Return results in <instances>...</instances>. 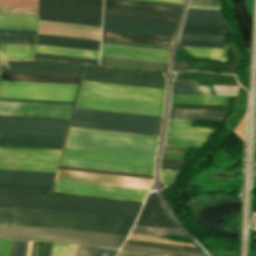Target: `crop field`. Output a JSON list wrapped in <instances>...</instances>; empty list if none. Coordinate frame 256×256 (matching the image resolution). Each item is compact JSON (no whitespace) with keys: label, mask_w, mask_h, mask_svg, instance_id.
<instances>
[{"label":"crop field","mask_w":256,"mask_h":256,"mask_svg":"<svg viewBox=\"0 0 256 256\" xmlns=\"http://www.w3.org/2000/svg\"><path fill=\"white\" fill-rule=\"evenodd\" d=\"M134 219L43 210L0 208V224L126 235Z\"/></svg>","instance_id":"8a807250"},{"label":"crop field","mask_w":256,"mask_h":256,"mask_svg":"<svg viewBox=\"0 0 256 256\" xmlns=\"http://www.w3.org/2000/svg\"><path fill=\"white\" fill-rule=\"evenodd\" d=\"M141 204L0 191V207L27 208L135 218Z\"/></svg>","instance_id":"ac0d7876"},{"label":"crop field","mask_w":256,"mask_h":256,"mask_svg":"<svg viewBox=\"0 0 256 256\" xmlns=\"http://www.w3.org/2000/svg\"><path fill=\"white\" fill-rule=\"evenodd\" d=\"M68 120L0 116V146L61 149Z\"/></svg>","instance_id":"34b2d1b8"},{"label":"crop field","mask_w":256,"mask_h":256,"mask_svg":"<svg viewBox=\"0 0 256 256\" xmlns=\"http://www.w3.org/2000/svg\"><path fill=\"white\" fill-rule=\"evenodd\" d=\"M158 136L71 127L70 148L154 156Z\"/></svg>","instance_id":"412701ff"},{"label":"crop field","mask_w":256,"mask_h":256,"mask_svg":"<svg viewBox=\"0 0 256 256\" xmlns=\"http://www.w3.org/2000/svg\"><path fill=\"white\" fill-rule=\"evenodd\" d=\"M154 157L66 148L61 165L153 175Z\"/></svg>","instance_id":"f4fd0767"},{"label":"crop field","mask_w":256,"mask_h":256,"mask_svg":"<svg viewBox=\"0 0 256 256\" xmlns=\"http://www.w3.org/2000/svg\"><path fill=\"white\" fill-rule=\"evenodd\" d=\"M161 117L76 108L75 127L158 135Z\"/></svg>","instance_id":"dd49c442"},{"label":"crop field","mask_w":256,"mask_h":256,"mask_svg":"<svg viewBox=\"0 0 256 256\" xmlns=\"http://www.w3.org/2000/svg\"><path fill=\"white\" fill-rule=\"evenodd\" d=\"M126 236L52 229L0 225V238L37 239L119 248Z\"/></svg>","instance_id":"e52e79f7"},{"label":"crop field","mask_w":256,"mask_h":256,"mask_svg":"<svg viewBox=\"0 0 256 256\" xmlns=\"http://www.w3.org/2000/svg\"><path fill=\"white\" fill-rule=\"evenodd\" d=\"M61 150L0 147V168L55 172Z\"/></svg>","instance_id":"d8731c3e"},{"label":"crop field","mask_w":256,"mask_h":256,"mask_svg":"<svg viewBox=\"0 0 256 256\" xmlns=\"http://www.w3.org/2000/svg\"><path fill=\"white\" fill-rule=\"evenodd\" d=\"M77 86L0 80V97L73 101Z\"/></svg>","instance_id":"5a996713"},{"label":"crop field","mask_w":256,"mask_h":256,"mask_svg":"<svg viewBox=\"0 0 256 256\" xmlns=\"http://www.w3.org/2000/svg\"><path fill=\"white\" fill-rule=\"evenodd\" d=\"M162 106L159 102L80 94L76 107L161 116Z\"/></svg>","instance_id":"3316defc"},{"label":"crop field","mask_w":256,"mask_h":256,"mask_svg":"<svg viewBox=\"0 0 256 256\" xmlns=\"http://www.w3.org/2000/svg\"><path fill=\"white\" fill-rule=\"evenodd\" d=\"M88 81L129 84L164 88L162 74L87 66L84 79Z\"/></svg>","instance_id":"28ad6ade"},{"label":"crop field","mask_w":256,"mask_h":256,"mask_svg":"<svg viewBox=\"0 0 256 256\" xmlns=\"http://www.w3.org/2000/svg\"><path fill=\"white\" fill-rule=\"evenodd\" d=\"M55 192L140 201L148 190L58 180Z\"/></svg>","instance_id":"d1516ede"},{"label":"crop field","mask_w":256,"mask_h":256,"mask_svg":"<svg viewBox=\"0 0 256 256\" xmlns=\"http://www.w3.org/2000/svg\"><path fill=\"white\" fill-rule=\"evenodd\" d=\"M177 24L104 14L103 29L172 37Z\"/></svg>","instance_id":"22f410ed"},{"label":"crop field","mask_w":256,"mask_h":256,"mask_svg":"<svg viewBox=\"0 0 256 256\" xmlns=\"http://www.w3.org/2000/svg\"><path fill=\"white\" fill-rule=\"evenodd\" d=\"M80 93L164 101V89L83 81Z\"/></svg>","instance_id":"cbeb9de0"},{"label":"crop field","mask_w":256,"mask_h":256,"mask_svg":"<svg viewBox=\"0 0 256 256\" xmlns=\"http://www.w3.org/2000/svg\"><path fill=\"white\" fill-rule=\"evenodd\" d=\"M54 174L0 169V189L50 192Z\"/></svg>","instance_id":"5142ce71"},{"label":"crop field","mask_w":256,"mask_h":256,"mask_svg":"<svg viewBox=\"0 0 256 256\" xmlns=\"http://www.w3.org/2000/svg\"><path fill=\"white\" fill-rule=\"evenodd\" d=\"M72 105L0 101V115L69 118Z\"/></svg>","instance_id":"d9b57169"},{"label":"crop field","mask_w":256,"mask_h":256,"mask_svg":"<svg viewBox=\"0 0 256 256\" xmlns=\"http://www.w3.org/2000/svg\"><path fill=\"white\" fill-rule=\"evenodd\" d=\"M2 72L79 77L81 67L66 63L9 62L1 60Z\"/></svg>","instance_id":"733c2abd"},{"label":"crop field","mask_w":256,"mask_h":256,"mask_svg":"<svg viewBox=\"0 0 256 256\" xmlns=\"http://www.w3.org/2000/svg\"><path fill=\"white\" fill-rule=\"evenodd\" d=\"M39 11L101 18L102 0H39Z\"/></svg>","instance_id":"4a817a6b"},{"label":"crop field","mask_w":256,"mask_h":256,"mask_svg":"<svg viewBox=\"0 0 256 256\" xmlns=\"http://www.w3.org/2000/svg\"><path fill=\"white\" fill-rule=\"evenodd\" d=\"M58 179L149 189L152 179L60 170Z\"/></svg>","instance_id":"bc2a9ffb"},{"label":"crop field","mask_w":256,"mask_h":256,"mask_svg":"<svg viewBox=\"0 0 256 256\" xmlns=\"http://www.w3.org/2000/svg\"><path fill=\"white\" fill-rule=\"evenodd\" d=\"M38 33L100 40L101 27L39 20Z\"/></svg>","instance_id":"214f88e0"},{"label":"crop field","mask_w":256,"mask_h":256,"mask_svg":"<svg viewBox=\"0 0 256 256\" xmlns=\"http://www.w3.org/2000/svg\"><path fill=\"white\" fill-rule=\"evenodd\" d=\"M169 51L102 44L101 55L167 62Z\"/></svg>","instance_id":"92a150f3"},{"label":"crop field","mask_w":256,"mask_h":256,"mask_svg":"<svg viewBox=\"0 0 256 256\" xmlns=\"http://www.w3.org/2000/svg\"><path fill=\"white\" fill-rule=\"evenodd\" d=\"M136 224L177 228L165 214L155 194L149 195Z\"/></svg>","instance_id":"dafd665d"},{"label":"crop field","mask_w":256,"mask_h":256,"mask_svg":"<svg viewBox=\"0 0 256 256\" xmlns=\"http://www.w3.org/2000/svg\"><path fill=\"white\" fill-rule=\"evenodd\" d=\"M183 125H191V121L169 119L167 136L208 139L210 134L214 132V129L210 128Z\"/></svg>","instance_id":"00972430"},{"label":"crop field","mask_w":256,"mask_h":256,"mask_svg":"<svg viewBox=\"0 0 256 256\" xmlns=\"http://www.w3.org/2000/svg\"><path fill=\"white\" fill-rule=\"evenodd\" d=\"M100 41L38 34L37 44L99 50Z\"/></svg>","instance_id":"a9b5d70f"},{"label":"crop field","mask_w":256,"mask_h":256,"mask_svg":"<svg viewBox=\"0 0 256 256\" xmlns=\"http://www.w3.org/2000/svg\"><path fill=\"white\" fill-rule=\"evenodd\" d=\"M100 65L167 71V63L101 56Z\"/></svg>","instance_id":"4177f3b9"},{"label":"crop field","mask_w":256,"mask_h":256,"mask_svg":"<svg viewBox=\"0 0 256 256\" xmlns=\"http://www.w3.org/2000/svg\"><path fill=\"white\" fill-rule=\"evenodd\" d=\"M102 38L170 46L172 38L103 30Z\"/></svg>","instance_id":"730fd06b"},{"label":"crop field","mask_w":256,"mask_h":256,"mask_svg":"<svg viewBox=\"0 0 256 256\" xmlns=\"http://www.w3.org/2000/svg\"><path fill=\"white\" fill-rule=\"evenodd\" d=\"M184 23L225 26L219 10L189 8Z\"/></svg>","instance_id":"eef30255"},{"label":"crop field","mask_w":256,"mask_h":256,"mask_svg":"<svg viewBox=\"0 0 256 256\" xmlns=\"http://www.w3.org/2000/svg\"><path fill=\"white\" fill-rule=\"evenodd\" d=\"M104 6L156 11V12H166V13H176V14H180L183 8L179 6H169V5L119 1V0H105Z\"/></svg>","instance_id":"ae1a2a85"},{"label":"crop field","mask_w":256,"mask_h":256,"mask_svg":"<svg viewBox=\"0 0 256 256\" xmlns=\"http://www.w3.org/2000/svg\"><path fill=\"white\" fill-rule=\"evenodd\" d=\"M37 16L0 15V29L37 30Z\"/></svg>","instance_id":"d3111659"},{"label":"crop field","mask_w":256,"mask_h":256,"mask_svg":"<svg viewBox=\"0 0 256 256\" xmlns=\"http://www.w3.org/2000/svg\"><path fill=\"white\" fill-rule=\"evenodd\" d=\"M226 97L236 96L172 94L171 103L229 104Z\"/></svg>","instance_id":"750c4746"},{"label":"crop field","mask_w":256,"mask_h":256,"mask_svg":"<svg viewBox=\"0 0 256 256\" xmlns=\"http://www.w3.org/2000/svg\"><path fill=\"white\" fill-rule=\"evenodd\" d=\"M35 52L98 59L99 51L36 45Z\"/></svg>","instance_id":"bd1437ed"},{"label":"crop field","mask_w":256,"mask_h":256,"mask_svg":"<svg viewBox=\"0 0 256 256\" xmlns=\"http://www.w3.org/2000/svg\"><path fill=\"white\" fill-rule=\"evenodd\" d=\"M0 79L78 84L79 78L2 73Z\"/></svg>","instance_id":"1d83c4d3"},{"label":"crop field","mask_w":256,"mask_h":256,"mask_svg":"<svg viewBox=\"0 0 256 256\" xmlns=\"http://www.w3.org/2000/svg\"><path fill=\"white\" fill-rule=\"evenodd\" d=\"M226 112H211V111H199V110H187V109H175L170 108L169 118H181V119H202V120H214L220 121L210 116L223 118Z\"/></svg>","instance_id":"120bbe31"},{"label":"crop field","mask_w":256,"mask_h":256,"mask_svg":"<svg viewBox=\"0 0 256 256\" xmlns=\"http://www.w3.org/2000/svg\"><path fill=\"white\" fill-rule=\"evenodd\" d=\"M172 93L212 94V88L201 86L196 80H174Z\"/></svg>","instance_id":"d32e631a"},{"label":"crop field","mask_w":256,"mask_h":256,"mask_svg":"<svg viewBox=\"0 0 256 256\" xmlns=\"http://www.w3.org/2000/svg\"><path fill=\"white\" fill-rule=\"evenodd\" d=\"M34 45L3 44L1 58L7 59H32Z\"/></svg>","instance_id":"5866460e"},{"label":"crop field","mask_w":256,"mask_h":256,"mask_svg":"<svg viewBox=\"0 0 256 256\" xmlns=\"http://www.w3.org/2000/svg\"><path fill=\"white\" fill-rule=\"evenodd\" d=\"M39 19L101 26V19L97 18L39 12Z\"/></svg>","instance_id":"028f5c9d"},{"label":"crop field","mask_w":256,"mask_h":256,"mask_svg":"<svg viewBox=\"0 0 256 256\" xmlns=\"http://www.w3.org/2000/svg\"><path fill=\"white\" fill-rule=\"evenodd\" d=\"M194 57L227 62L225 49L182 46Z\"/></svg>","instance_id":"e1f06a70"},{"label":"crop field","mask_w":256,"mask_h":256,"mask_svg":"<svg viewBox=\"0 0 256 256\" xmlns=\"http://www.w3.org/2000/svg\"><path fill=\"white\" fill-rule=\"evenodd\" d=\"M132 232L148 234V235H155V236H184V237H187L179 229L152 227V226L136 225Z\"/></svg>","instance_id":"0bd39190"},{"label":"crop field","mask_w":256,"mask_h":256,"mask_svg":"<svg viewBox=\"0 0 256 256\" xmlns=\"http://www.w3.org/2000/svg\"><path fill=\"white\" fill-rule=\"evenodd\" d=\"M182 32L217 34V35H226L230 33L228 27L191 25V24H184Z\"/></svg>","instance_id":"b80d0937"},{"label":"crop field","mask_w":256,"mask_h":256,"mask_svg":"<svg viewBox=\"0 0 256 256\" xmlns=\"http://www.w3.org/2000/svg\"><path fill=\"white\" fill-rule=\"evenodd\" d=\"M206 140L167 137L165 145L200 149Z\"/></svg>","instance_id":"c035e120"},{"label":"crop field","mask_w":256,"mask_h":256,"mask_svg":"<svg viewBox=\"0 0 256 256\" xmlns=\"http://www.w3.org/2000/svg\"><path fill=\"white\" fill-rule=\"evenodd\" d=\"M36 35L0 34V43L35 44Z\"/></svg>","instance_id":"c21b1889"},{"label":"crop field","mask_w":256,"mask_h":256,"mask_svg":"<svg viewBox=\"0 0 256 256\" xmlns=\"http://www.w3.org/2000/svg\"><path fill=\"white\" fill-rule=\"evenodd\" d=\"M122 249L145 251V252H154V253H163V254H168L169 256H206V255H201V254H193V253H185V252H177V251H169V250L147 248V247H138V246H129V245H124Z\"/></svg>","instance_id":"03da06ac"},{"label":"crop field","mask_w":256,"mask_h":256,"mask_svg":"<svg viewBox=\"0 0 256 256\" xmlns=\"http://www.w3.org/2000/svg\"><path fill=\"white\" fill-rule=\"evenodd\" d=\"M34 59L98 64V60L35 53Z\"/></svg>","instance_id":"b54c1fbb"},{"label":"crop field","mask_w":256,"mask_h":256,"mask_svg":"<svg viewBox=\"0 0 256 256\" xmlns=\"http://www.w3.org/2000/svg\"><path fill=\"white\" fill-rule=\"evenodd\" d=\"M104 13L178 22L179 18L104 10Z\"/></svg>","instance_id":"5d738f31"},{"label":"crop field","mask_w":256,"mask_h":256,"mask_svg":"<svg viewBox=\"0 0 256 256\" xmlns=\"http://www.w3.org/2000/svg\"><path fill=\"white\" fill-rule=\"evenodd\" d=\"M1 14H25V15H37V8H25V7H1Z\"/></svg>","instance_id":"d23c7cc5"},{"label":"crop field","mask_w":256,"mask_h":256,"mask_svg":"<svg viewBox=\"0 0 256 256\" xmlns=\"http://www.w3.org/2000/svg\"><path fill=\"white\" fill-rule=\"evenodd\" d=\"M180 39L223 42L224 36L182 33Z\"/></svg>","instance_id":"425ffa30"},{"label":"crop field","mask_w":256,"mask_h":256,"mask_svg":"<svg viewBox=\"0 0 256 256\" xmlns=\"http://www.w3.org/2000/svg\"><path fill=\"white\" fill-rule=\"evenodd\" d=\"M60 169L152 178V176H149V175L130 174V173L102 171V170H93V169H84V168H74V167H65V166H61Z\"/></svg>","instance_id":"25e5ab78"},{"label":"crop field","mask_w":256,"mask_h":256,"mask_svg":"<svg viewBox=\"0 0 256 256\" xmlns=\"http://www.w3.org/2000/svg\"><path fill=\"white\" fill-rule=\"evenodd\" d=\"M188 160L162 157L161 168L179 170L181 165Z\"/></svg>","instance_id":"73cf0c24"},{"label":"crop field","mask_w":256,"mask_h":256,"mask_svg":"<svg viewBox=\"0 0 256 256\" xmlns=\"http://www.w3.org/2000/svg\"><path fill=\"white\" fill-rule=\"evenodd\" d=\"M102 43L169 50L170 47L102 39Z\"/></svg>","instance_id":"89e229c0"},{"label":"crop field","mask_w":256,"mask_h":256,"mask_svg":"<svg viewBox=\"0 0 256 256\" xmlns=\"http://www.w3.org/2000/svg\"><path fill=\"white\" fill-rule=\"evenodd\" d=\"M0 5L37 7V0H0Z\"/></svg>","instance_id":"1f2cbd36"},{"label":"crop field","mask_w":256,"mask_h":256,"mask_svg":"<svg viewBox=\"0 0 256 256\" xmlns=\"http://www.w3.org/2000/svg\"><path fill=\"white\" fill-rule=\"evenodd\" d=\"M28 241L13 240L11 256H26Z\"/></svg>","instance_id":"dbb93151"},{"label":"crop field","mask_w":256,"mask_h":256,"mask_svg":"<svg viewBox=\"0 0 256 256\" xmlns=\"http://www.w3.org/2000/svg\"><path fill=\"white\" fill-rule=\"evenodd\" d=\"M180 45L225 48L224 43L180 40Z\"/></svg>","instance_id":"0fb4a251"},{"label":"crop field","mask_w":256,"mask_h":256,"mask_svg":"<svg viewBox=\"0 0 256 256\" xmlns=\"http://www.w3.org/2000/svg\"><path fill=\"white\" fill-rule=\"evenodd\" d=\"M178 171L161 169V181L166 187H170Z\"/></svg>","instance_id":"1d79db26"},{"label":"crop field","mask_w":256,"mask_h":256,"mask_svg":"<svg viewBox=\"0 0 256 256\" xmlns=\"http://www.w3.org/2000/svg\"><path fill=\"white\" fill-rule=\"evenodd\" d=\"M68 245L53 243L50 256H65Z\"/></svg>","instance_id":"9d1cf04e"},{"label":"crop field","mask_w":256,"mask_h":256,"mask_svg":"<svg viewBox=\"0 0 256 256\" xmlns=\"http://www.w3.org/2000/svg\"><path fill=\"white\" fill-rule=\"evenodd\" d=\"M98 248L79 246L76 256H95Z\"/></svg>","instance_id":"447ae74e"},{"label":"crop field","mask_w":256,"mask_h":256,"mask_svg":"<svg viewBox=\"0 0 256 256\" xmlns=\"http://www.w3.org/2000/svg\"><path fill=\"white\" fill-rule=\"evenodd\" d=\"M190 5L220 7L218 0H190Z\"/></svg>","instance_id":"0765c3eb"},{"label":"crop field","mask_w":256,"mask_h":256,"mask_svg":"<svg viewBox=\"0 0 256 256\" xmlns=\"http://www.w3.org/2000/svg\"><path fill=\"white\" fill-rule=\"evenodd\" d=\"M12 240H0V256H10Z\"/></svg>","instance_id":"db79e9e6"},{"label":"crop field","mask_w":256,"mask_h":256,"mask_svg":"<svg viewBox=\"0 0 256 256\" xmlns=\"http://www.w3.org/2000/svg\"><path fill=\"white\" fill-rule=\"evenodd\" d=\"M104 9L118 10V11H127V12H137V13H146V14H156V15H165V16H175V17H179L180 16V15H176V14L156 13V12L137 11V10L118 9V8H108V7H104Z\"/></svg>","instance_id":"7b73153f"},{"label":"crop field","mask_w":256,"mask_h":256,"mask_svg":"<svg viewBox=\"0 0 256 256\" xmlns=\"http://www.w3.org/2000/svg\"><path fill=\"white\" fill-rule=\"evenodd\" d=\"M31 244L32 242L29 241L27 256L30 255ZM39 245L40 242H33L30 256H38Z\"/></svg>","instance_id":"78b8030e"},{"label":"crop field","mask_w":256,"mask_h":256,"mask_svg":"<svg viewBox=\"0 0 256 256\" xmlns=\"http://www.w3.org/2000/svg\"><path fill=\"white\" fill-rule=\"evenodd\" d=\"M116 250L99 248L96 256H113Z\"/></svg>","instance_id":"0f1d7ab4"},{"label":"crop field","mask_w":256,"mask_h":256,"mask_svg":"<svg viewBox=\"0 0 256 256\" xmlns=\"http://www.w3.org/2000/svg\"><path fill=\"white\" fill-rule=\"evenodd\" d=\"M0 100H16V101H32V102H48V103H64V104H72L73 102H63V101H43V100H23V99H3Z\"/></svg>","instance_id":"e1d0b9f6"},{"label":"crop field","mask_w":256,"mask_h":256,"mask_svg":"<svg viewBox=\"0 0 256 256\" xmlns=\"http://www.w3.org/2000/svg\"><path fill=\"white\" fill-rule=\"evenodd\" d=\"M141 252L125 251L121 250L118 256H142Z\"/></svg>","instance_id":"ae633e8c"},{"label":"crop field","mask_w":256,"mask_h":256,"mask_svg":"<svg viewBox=\"0 0 256 256\" xmlns=\"http://www.w3.org/2000/svg\"><path fill=\"white\" fill-rule=\"evenodd\" d=\"M37 31H25V30H0V33H23V34H36Z\"/></svg>","instance_id":"d14b1444"},{"label":"crop field","mask_w":256,"mask_h":256,"mask_svg":"<svg viewBox=\"0 0 256 256\" xmlns=\"http://www.w3.org/2000/svg\"><path fill=\"white\" fill-rule=\"evenodd\" d=\"M129 1H139V2H149V3H159V4H169V5L183 6V4H179V3H169V2H159V1H149V0H129Z\"/></svg>","instance_id":"c39391a2"},{"label":"crop field","mask_w":256,"mask_h":256,"mask_svg":"<svg viewBox=\"0 0 256 256\" xmlns=\"http://www.w3.org/2000/svg\"><path fill=\"white\" fill-rule=\"evenodd\" d=\"M52 243L46 242L43 256H49Z\"/></svg>","instance_id":"ade564c9"},{"label":"crop field","mask_w":256,"mask_h":256,"mask_svg":"<svg viewBox=\"0 0 256 256\" xmlns=\"http://www.w3.org/2000/svg\"><path fill=\"white\" fill-rule=\"evenodd\" d=\"M162 1H172V2H180V3L184 2V0H162Z\"/></svg>","instance_id":"c5b07064"},{"label":"crop field","mask_w":256,"mask_h":256,"mask_svg":"<svg viewBox=\"0 0 256 256\" xmlns=\"http://www.w3.org/2000/svg\"><path fill=\"white\" fill-rule=\"evenodd\" d=\"M152 255H153V254H151V253L149 254V256H152ZM153 256H154V255H153ZM156 256H160V255L157 254ZM161 256H163V255H161Z\"/></svg>","instance_id":"c3a83c6f"},{"label":"crop field","mask_w":256,"mask_h":256,"mask_svg":"<svg viewBox=\"0 0 256 256\" xmlns=\"http://www.w3.org/2000/svg\"><path fill=\"white\" fill-rule=\"evenodd\" d=\"M148 255V253H145V255L144 256H147Z\"/></svg>","instance_id":"fb207236"},{"label":"crop field","mask_w":256,"mask_h":256,"mask_svg":"<svg viewBox=\"0 0 256 256\" xmlns=\"http://www.w3.org/2000/svg\"><path fill=\"white\" fill-rule=\"evenodd\" d=\"M164 256H166V255H164Z\"/></svg>","instance_id":"7312dd0a"}]
</instances>
